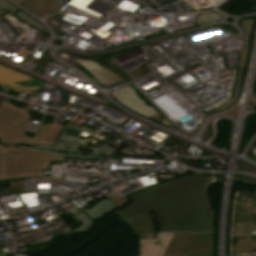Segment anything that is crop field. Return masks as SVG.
<instances>
[{
	"instance_id": "obj_20",
	"label": "crop field",
	"mask_w": 256,
	"mask_h": 256,
	"mask_svg": "<svg viewBox=\"0 0 256 256\" xmlns=\"http://www.w3.org/2000/svg\"><path fill=\"white\" fill-rule=\"evenodd\" d=\"M62 99H63V90H60V100H59V107L61 106L62 104Z\"/></svg>"
},
{
	"instance_id": "obj_9",
	"label": "crop field",
	"mask_w": 256,
	"mask_h": 256,
	"mask_svg": "<svg viewBox=\"0 0 256 256\" xmlns=\"http://www.w3.org/2000/svg\"><path fill=\"white\" fill-rule=\"evenodd\" d=\"M174 233H161L158 240H139L138 256H162Z\"/></svg>"
},
{
	"instance_id": "obj_12",
	"label": "crop field",
	"mask_w": 256,
	"mask_h": 256,
	"mask_svg": "<svg viewBox=\"0 0 256 256\" xmlns=\"http://www.w3.org/2000/svg\"><path fill=\"white\" fill-rule=\"evenodd\" d=\"M253 22H254V19L242 21V27L244 28L246 35L243 36V38L245 39L244 50L240 51V64L238 66V67H240V71H239L238 83H237V87H236V91H235L236 93L238 92V89H239L241 72H242V68L244 66L246 56H247L248 39H249L251 30H252Z\"/></svg>"
},
{
	"instance_id": "obj_5",
	"label": "crop field",
	"mask_w": 256,
	"mask_h": 256,
	"mask_svg": "<svg viewBox=\"0 0 256 256\" xmlns=\"http://www.w3.org/2000/svg\"><path fill=\"white\" fill-rule=\"evenodd\" d=\"M0 84L2 88L20 92L22 90H38L43 82L0 65Z\"/></svg>"
},
{
	"instance_id": "obj_13",
	"label": "crop field",
	"mask_w": 256,
	"mask_h": 256,
	"mask_svg": "<svg viewBox=\"0 0 256 256\" xmlns=\"http://www.w3.org/2000/svg\"><path fill=\"white\" fill-rule=\"evenodd\" d=\"M97 206H99V207H97ZM94 207H97L96 210H92V211H85L84 210L83 211L84 213H86L92 219L101 218V217H103L107 214L108 210H113V209L116 208L115 205H113L111 202H109L106 199L103 200L102 202H100L99 204H97ZM91 209H93V208H91ZM91 209H89V210H91Z\"/></svg>"
},
{
	"instance_id": "obj_7",
	"label": "crop field",
	"mask_w": 256,
	"mask_h": 256,
	"mask_svg": "<svg viewBox=\"0 0 256 256\" xmlns=\"http://www.w3.org/2000/svg\"><path fill=\"white\" fill-rule=\"evenodd\" d=\"M114 98L127 108L149 118L158 113L152 107L145 104L142 98L134 91L132 86L114 90Z\"/></svg>"
},
{
	"instance_id": "obj_6",
	"label": "crop field",
	"mask_w": 256,
	"mask_h": 256,
	"mask_svg": "<svg viewBox=\"0 0 256 256\" xmlns=\"http://www.w3.org/2000/svg\"><path fill=\"white\" fill-rule=\"evenodd\" d=\"M74 61L80 64L101 86L108 87L125 79L120 73L94 60L76 58Z\"/></svg>"
},
{
	"instance_id": "obj_23",
	"label": "crop field",
	"mask_w": 256,
	"mask_h": 256,
	"mask_svg": "<svg viewBox=\"0 0 256 256\" xmlns=\"http://www.w3.org/2000/svg\"><path fill=\"white\" fill-rule=\"evenodd\" d=\"M16 256H27V254H16Z\"/></svg>"
},
{
	"instance_id": "obj_11",
	"label": "crop field",
	"mask_w": 256,
	"mask_h": 256,
	"mask_svg": "<svg viewBox=\"0 0 256 256\" xmlns=\"http://www.w3.org/2000/svg\"><path fill=\"white\" fill-rule=\"evenodd\" d=\"M0 9L10 11V13H12L13 15H16V17L22 19L27 24H29V25H31V26H33L35 28H38L41 31H44V29H43L44 27H43L42 24H40L39 22L35 21L29 15H27L26 13L21 11L19 8L13 6L8 1L0 0ZM44 32H47V30H45Z\"/></svg>"
},
{
	"instance_id": "obj_14",
	"label": "crop field",
	"mask_w": 256,
	"mask_h": 256,
	"mask_svg": "<svg viewBox=\"0 0 256 256\" xmlns=\"http://www.w3.org/2000/svg\"><path fill=\"white\" fill-rule=\"evenodd\" d=\"M48 3H49V0H30L29 2L21 6L37 14L40 17V16H45V14H43L42 12Z\"/></svg>"
},
{
	"instance_id": "obj_25",
	"label": "crop field",
	"mask_w": 256,
	"mask_h": 256,
	"mask_svg": "<svg viewBox=\"0 0 256 256\" xmlns=\"http://www.w3.org/2000/svg\"><path fill=\"white\" fill-rule=\"evenodd\" d=\"M0 103H1V100H0Z\"/></svg>"
},
{
	"instance_id": "obj_19",
	"label": "crop field",
	"mask_w": 256,
	"mask_h": 256,
	"mask_svg": "<svg viewBox=\"0 0 256 256\" xmlns=\"http://www.w3.org/2000/svg\"><path fill=\"white\" fill-rule=\"evenodd\" d=\"M240 190H242V191H247V192H252V193H256V189H253V188H244V187H240Z\"/></svg>"
},
{
	"instance_id": "obj_1",
	"label": "crop field",
	"mask_w": 256,
	"mask_h": 256,
	"mask_svg": "<svg viewBox=\"0 0 256 256\" xmlns=\"http://www.w3.org/2000/svg\"><path fill=\"white\" fill-rule=\"evenodd\" d=\"M211 178H177L131 194L135 201L121 209L129 218L154 209L160 231H212L213 217L203 194V185Z\"/></svg>"
},
{
	"instance_id": "obj_24",
	"label": "crop field",
	"mask_w": 256,
	"mask_h": 256,
	"mask_svg": "<svg viewBox=\"0 0 256 256\" xmlns=\"http://www.w3.org/2000/svg\"><path fill=\"white\" fill-rule=\"evenodd\" d=\"M7 256H14V254H9V255H7Z\"/></svg>"
},
{
	"instance_id": "obj_8",
	"label": "crop field",
	"mask_w": 256,
	"mask_h": 256,
	"mask_svg": "<svg viewBox=\"0 0 256 256\" xmlns=\"http://www.w3.org/2000/svg\"><path fill=\"white\" fill-rule=\"evenodd\" d=\"M115 215L125 222L138 238H153L155 230L149 212L131 219H129L122 211L115 213Z\"/></svg>"
},
{
	"instance_id": "obj_15",
	"label": "crop field",
	"mask_w": 256,
	"mask_h": 256,
	"mask_svg": "<svg viewBox=\"0 0 256 256\" xmlns=\"http://www.w3.org/2000/svg\"><path fill=\"white\" fill-rule=\"evenodd\" d=\"M80 214L75 215L76 218H78L82 223L81 225L74 229V231L76 232H80V231H86L89 226L91 225V218H89L86 214H84L77 206L74 207Z\"/></svg>"
},
{
	"instance_id": "obj_2",
	"label": "crop field",
	"mask_w": 256,
	"mask_h": 256,
	"mask_svg": "<svg viewBox=\"0 0 256 256\" xmlns=\"http://www.w3.org/2000/svg\"><path fill=\"white\" fill-rule=\"evenodd\" d=\"M50 160H63L61 156L18 147H0V180L9 182V188L0 191V196L24 193V179L44 177ZM45 180L61 181V178L45 177Z\"/></svg>"
},
{
	"instance_id": "obj_18",
	"label": "crop field",
	"mask_w": 256,
	"mask_h": 256,
	"mask_svg": "<svg viewBox=\"0 0 256 256\" xmlns=\"http://www.w3.org/2000/svg\"><path fill=\"white\" fill-rule=\"evenodd\" d=\"M238 196L256 198V195L254 194H248V193H242V192H239Z\"/></svg>"
},
{
	"instance_id": "obj_16",
	"label": "crop field",
	"mask_w": 256,
	"mask_h": 256,
	"mask_svg": "<svg viewBox=\"0 0 256 256\" xmlns=\"http://www.w3.org/2000/svg\"><path fill=\"white\" fill-rule=\"evenodd\" d=\"M250 251V248L244 239H238L234 245V253H242Z\"/></svg>"
},
{
	"instance_id": "obj_17",
	"label": "crop field",
	"mask_w": 256,
	"mask_h": 256,
	"mask_svg": "<svg viewBox=\"0 0 256 256\" xmlns=\"http://www.w3.org/2000/svg\"><path fill=\"white\" fill-rule=\"evenodd\" d=\"M51 58L48 50L47 52L45 53V55L42 57V59L39 61V63L37 64L36 68L34 69V72L42 75L43 73V70L47 64V62L49 61V59Z\"/></svg>"
},
{
	"instance_id": "obj_10",
	"label": "crop field",
	"mask_w": 256,
	"mask_h": 256,
	"mask_svg": "<svg viewBox=\"0 0 256 256\" xmlns=\"http://www.w3.org/2000/svg\"><path fill=\"white\" fill-rule=\"evenodd\" d=\"M58 119H54L52 124L41 125L38 135L34 140V144L53 145L56 138L64 129L63 126L56 125Z\"/></svg>"
},
{
	"instance_id": "obj_3",
	"label": "crop field",
	"mask_w": 256,
	"mask_h": 256,
	"mask_svg": "<svg viewBox=\"0 0 256 256\" xmlns=\"http://www.w3.org/2000/svg\"><path fill=\"white\" fill-rule=\"evenodd\" d=\"M30 112L16 108L9 103L0 105V143L30 145L31 138L21 132L31 118ZM18 127V130H15Z\"/></svg>"
},
{
	"instance_id": "obj_21",
	"label": "crop field",
	"mask_w": 256,
	"mask_h": 256,
	"mask_svg": "<svg viewBox=\"0 0 256 256\" xmlns=\"http://www.w3.org/2000/svg\"><path fill=\"white\" fill-rule=\"evenodd\" d=\"M13 1H15V2H17L18 4H23V3H25V2H27L28 0H13Z\"/></svg>"
},
{
	"instance_id": "obj_22",
	"label": "crop field",
	"mask_w": 256,
	"mask_h": 256,
	"mask_svg": "<svg viewBox=\"0 0 256 256\" xmlns=\"http://www.w3.org/2000/svg\"><path fill=\"white\" fill-rule=\"evenodd\" d=\"M4 13H7V11L0 10V20L3 19L1 15H3Z\"/></svg>"
},
{
	"instance_id": "obj_4",
	"label": "crop field",
	"mask_w": 256,
	"mask_h": 256,
	"mask_svg": "<svg viewBox=\"0 0 256 256\" xmlns=\"http://www.w3.org/2000/svg\"><path fill=\"white\" fill-rule=\"evenodd\" d=\"M163 256H213L212 234L175 233Z\"/></svg>"
}]
</instances>
